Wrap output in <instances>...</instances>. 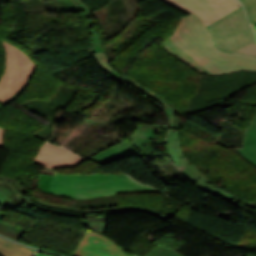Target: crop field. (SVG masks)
I'll return each instance as SVG.
<instances>
[{"instance_id":"21","label":"crop field","mask_w":256,"mask_h":256,"mask_svg":"<svg viewBox=\"0 0 256 256\" xmlns=\"http://www.w3.org/2000/svg\"><path fill=\"white\" fill-rule=\"evenodd\" d=\"M34 256H48V255H44V254H40V253H36Z\"/></svg>"},{"instance_id":"20","label":"crop field","mask_w":256,"mask_h":256,"mask_svg":"<svg viewBox=\"0 0 256 256\" xmlns=\"http://www.w3.org/2000/svg\"><path fill=\"white\" fill-rule=\"evenodd\" d=\"M5 129H0V146H3L4 140H3V134Z\"/></svg>"},{"instance_id":"7","label":"crop field","mask_w":256,"mask_h":256,"mask_svg":"<svg viewBox=\"0 0 256 256\" xmlns=\"http://www.w3.org/2000/svg\"><path fill=\"white\" fill-rule=\"evenodd\" d=\"M166 149L168 156L173 161V163L180 170H182L195 184L199 185L204 190L219 197H222L230 202L235 198L233 195L227 193L226 191L208 184L207 182H209V180H207L200 173V171L195 168L192 163L187 159L182 151L179 130H170V134L166 140Z\"/></svg>"},{"instance_id":"4","label":"crop field","mask_w":256,"mask_h":256,"mask_svg":"<svg viewBox=\"0 0 256 256\" xmlns=\"http://www.w3.org/2000/svg\"><path fill=\"white\" fill-rule=\"evenodd\" d=\"M206 28L217 49L231 54L256 57L254 33L248 25L243 7Z\"/></svg>"},{"instance_id":"2","label":"crop field","mask_w":256,"mask_h":256,"mask_svg":"<svg viewBox=\"0 0 256 256\" xmlns=\"http://www.w3.org/2000/svg\"><path fill=\"white\" fill-rule=\"evenodd\" d=\"M38 188L45 193L74 199L130 192L161 193L157 189L135 182L128 176L114 174L61 175L56 172L54 176L40 174Z\"/></svg>"},{"instance_id":"9","label":"crop field","mask_w":256,"mask_h":256,"mask_svg":"<svg viewBox=\"0 0 256 256\" xmlns=\"http://www.w3.org/2000/svg\"><path fill=\"white\" fill-rule=\"evenodd\" d=\"M71 256H127L118 246L99 233L87 230Z\"/></svg>"},{"instance_id":"11","label":"crop field","mask_w":256,"mask_h":256,"mask_svg":"<svg viewBox=\"0 0 256 256\" xmlns=\"http://www.w3.org/2000/svg\"><path fill=\"white\" fill-rule=\"evenodd\" d=\"M235 150L245 160L256 166V118L246 131L243 138V148Z\"/></svg>"},{"instance_id":"5","label":"crop field","mask_w":256,"mask_h":256,"mask_svg":"<svg viewBox=\"0 0 256 256\" xmlns=\"http://www.w3.org/2000/svg\"><path fill=\"white\" fill-rule=\"evenodd\" d=\"M4 41L2 42L7 54V65L0 81V102L2 104L11 100L27 84L35 66V63L25 53Z\"/></svg>"},{"instance_id":"17","label":"crop field","mask_w":256,"mask_h":256,"mask_svg":"<svg viewBox=\"0 0 256 256\" xmlns=\"http://www.w3.org/2000/svg\"><path fill=\"white\" fill-rule=\"evenodd\" d=\"M145 256H180V255L166 247L158 245Z\"/></svg>"},{"instance_id":"8","label":"crop field","mask_w":256,"mask_h":256,"mask_svg":"<svg viewBox=\"0 0 256 256\" xmlns=\"http://www.w3.org/2000/svg\"><path fill=\"white\" fill-rule=\"evenodd\" d=\"M182 9L195 13L204 23L210 25L221 17L242 6L238 0H166Z\"/></svg>"},{"instance_id":"3","label":"crop field","mask_w":256,"mask_h":256,"mask_svg":"<svg viewBox=\"0 0 256 256\" xmlns=\"http://www.w3.org/2000/svg\"><path fill=\"white\" fill-rule=\"evenodd\" d=\"M28 190L20 183L11 181L7 178L0 177V204L5 206L10 210L16 209L23 202L27 203L30 206H38L44 210L56 212L59 214L67 215H77L82 216L81 224L91 223V222H102L106 223V214L113 213H123L130 211H142L154 214L158 216L162 221L168 220L171 218V215L156 211L147 207L141 206H126V207H116L100 210H90V211H80V208L74 207H64V206H55L47 203H42L38 201L29 202L22 194L26 193ZM4 214L0 213V220Z\"/></svg>"},{"instance_id":"14","label":"crop field","mask_w":256,"mask_h":256,"mask_svg":"<svg viewBox=\"0 0 256 256\" xmlns=\"http://www.w3.org/2000/svg\"><path fill=\"white\" fill-rule=\"evenodd\" d=\"M26 231L27 230L16 226H12L3 222L0 223V234H3L18 241Z\"/></svg>"},{"instance_id":"15","label":"crop field","mask_w":256,"mask_h":256,"mask_svg":"<svg viewBox=\"0 0 256 256\" xmlns=\"http://www.w3.org/2000/svg\"><path fill=\"white\" fill-rule=\"evenodd\" d=\"M245 7L251 26L256 25V0H240Z\"/></svg>"},{"instance_id":"16","label":"crop field","mask_w":256,"mask_h":256,"mask_svg":"<svg viewBox=\"0 0 256 256\" xmlns=\"http://www.w3.org/2000/svg\"><path fill=\"white\" fill-rule=\"evenodd\" d=\"M137 84H139V83H137ZM149 92L153 93L152 91H149ZM153 94H155V93H153ZM151 97L153 99L157 100L159 103H161L165 107V112L169 117V127H170V129H175L173 118H175L176 114H180V113L177 110H173L170 106H168L167 104H165L161 100L157 99L154 95L151 96Z\"/></svg>"},{"instance_id":"13","label":"crop field","mask_w":256,"mask_h":256,"mask_svg":"<svg viewBox=\"0 0 256 256\" xmlns=\"http://www.w3.org/2000/svg\"><path fill=\"white\" fill-rule=\"evenodd\" d=\"M75 1L80 5V7L82 8V10L84 11V13L87 17L89 31H90L92 42H93V45H94V52H103V47H102L101 42L99 40V36L92 27L90 17L88 15L87 8L84 6V4L81 2V0H75Z\"/></svg>"},{"instance_id":"18","label":"crop field","mask_w":256,"mask_h":256,"mask_svg":"<svg viewBox=\"0 0 256 256\" xmlns=\"http://www.w3.org/2000/svg\"><path fill=\"white\" fill-rule=\"evenodd\" d=\"M93 54H94V57L99 61L101 66L104 68V70L107 73L111 74L113 68L109 65V59L106 53H93Z\"/></svg>"},{"instance_id":"10","label":"crop field","mask_w":256,"mask_h":256,"mask_svg":"<svg viewBox=\"0 0 256 256\" xmlns=\"http://www.w3.org/2000/svg\"><path fill=\"white\" fill-rule=\"evenodd\" d=\"M77 156L61 147L45 142L34 162L49 168L74 167L84 160Z\"/></svg>"},{"instance_id":"19","label":"crop field","mask_w":256,"mask_h":256,"mask_svg":"<svg viewBox=\"0 0 256 256\" xmlns=\"http://www.w3.org/2000/svg\"><path fill=\"white\" fill-rule=\"evenodd\" d=\"M112 76L116 77L117 79H119V80H121V81H123V82H124V81L129 82V83H130L131 85H133L134 87H136V88L142 90V91H143L146 95H148V96L152 95L151 93L147 92L146 90H144V89L141 88L140 86H138V85L132 83L130 80H128V79L124 78L122 75L118 74V72H117L115 69H113ZM129 83H128V84H129Z\"/></svg>"},{"instance_id":"22","label":"crop field","mask_w":256,"mask_h":256,"mask_svg":"<svg viewBox=\"0 0 256 256\" xmlns=\"http://www.w3.org/2000/svg\"><path fill=\"white\" fill-rule=\"evenodd\" d=\"M253 28V30H254V32H255V34H256V26H254V27H252Z\"/></svg>"},{"instance_id":"12","label":"crop field","mask_w":256,"mask_h":256,"mask_svg":"<svg viewBox=\"0 0 256 256\" xmlns=\"http://www.w3.org/2000/svg\"><path fill=\"white\" fill-rule=\"evenodd\" d=\"M34 252L0 238V255L31 256Z\"/></svg>"},{"instance_id":"1","label":"crop field","mask_w":256,"mask_h":256,"mask_svg":"<svg viewBox=\"0 0 256 256\" xmlns=\"http://www.w3.org/2000/svg\"><path fill=\"white\" fill-rule=\"evenodd\" d=\"M175 33L164 43L166 51L201 74L217 75L240 69L256 71V59L218 52L201 20L182 16Z\"/></svg>"},{"instance_id":"6","label":"crop field","mask_w":256,"mask_h":256,"mask_svg":"<svg viewBox=\"0 0 256 256\" xmlns=\"http://www.w3.org/2000/svg\"><path fill=\"white\" fill-rule=\"evenodd\" d=\"M143 124L144 123L138 125L128 139L99 152L93 156L92 159L101 162L102 164H106L117 159L134 156L138 154L163 128H167L166 126L161 125L154 126L153 124Z\"/></svg>"}]
</instances>
